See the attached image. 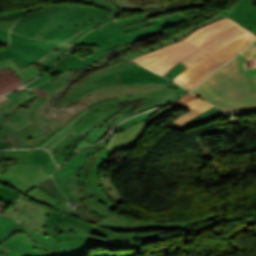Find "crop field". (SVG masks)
I'll list each match as a JSON object with an SVG mask.
<instances>
[{"label":"crop field","instance_id":"obj_9","mask_svg":"<svg viewBox=\"0 0 256 256\" xmlns=\"http://www.w3.org/2000/svg\"><path fill=\"white\" fill-rule=\"evenodd\" d=\"M10 46L0 50V60L12 58L19 68L35 63L59 42L30 39L10 32Z\"/></svg>","mask_w":256,"mask_h":256},{"label":"crop field","instance_id":"obj_42","mask_svg":"<svg viewBox=\"0 0 256 256\" xmlns=\"http://www.w3.org/2000/svg\"><path fill=\"white\" fill-rule=\"evenodd\" d=\"M98 22V21H96ZM94 23V22H93ZM82 26H85V25H82ZM77 27H81V26H77ZM75 27V28H77ZM74 29V28H72ZM71 30V29H70ZM69 31V30H67ZM66 31L62 32L58 27L57 28H54L50 31H48L45 35V39L44 40H54L56 39L58 36H60L61 34L65 33Z\"/></svg>","mask_w":256,"mask_h":256},{"label":"crop field","instance_id":"obj_48","mask_svg":"<svg viewBox=\"0 0 256 256\" xmlns=\"http://www.w3.org/2000/svg\"><path fill=\"white\" fill-rule=\"evenodd\" d=\"M56 170V166L54 165L53 161L48 164V166L45 168V172L47 175H50L52 172Z\"/></svg>","mask_w":256,"mask_h":256},{"label":"crop field","instance_id":"obj_35","mask_svg":"<svg viewBox=\"0 0 256 256\" xmlns=\"http://www.w3.org/2000/svg\"><path fill=\"white\" fill-rule=\"evenodd\" d=\"M160 109L161 108L153 110V111H150V112H147V113L140 114V115H138V116H136V117H134V118H132V119H130V120L120 124V125H118L116 128L123 129V128L128 127L131 124H135V123H138L140 121L146 120L149 117H151L152 115H154Z\"/></svg>","mask_w":256,"mask_h":256},{"label":"crop field","instance_id":"obj_2","mask_svg":"<svg viewBox=\"0 0 256 256\" xmlns=\"http://www.w3.org/2000/svg\"><path fill=\"white\" fill-rule=\"evenodd\" d=\"M101 170L91 169L89 180L91 188L97 197L85 199L79 182V175H53V178L66 197L77 202L76 210L68 208L66 197L59 191L50 176L25 194L26 197L43 203L51 210L44 233L57 234L61 231H79L95 234L111 240L136 241L132 233L120 234L114 231H132L151 228L187 229L190 223L186 222H145L130 219L111 212L119 207L102 190L100 185Z\"/></svg>","mask_w":256,"mask_h":256},{"label":"crop field","instance_id":"obj_12","mask_svg":"<svg viewBox=\"0 0 256 256\" xmlns=\"http://www.w3.org/2000/svg\"><path fill=\"white\" fill-rule=\"evenodd\" d=\"M121 10H143L144 14L149 17L162 14L173 10H184L198 7L205 3L189 4H169L167 0H113Z\"/></svg>","mask_w":256,"mask_h":256},{"label":"crop field","instance_id":"obj_20","mask_svg":"<svg viewBox=\"0 0 256 256\" xmlns=\"http://www.w3.org/2000/svg\"><path fill=\"white\" fill-rule=\"evenodd\" d=\"M56 238L58 239V241L67 240L71 238L86 239V240H90V245L106 247L111 250L140 249L138 244L125 243V242H110V241H105L99 238L81 235V234L72 233V232L56 235Z\"/></svg>","mask_w":256,"mask_h":256},{"label":"crop field","instance_id":"obj_26","mask_svg":"<svg viewBox=\"0 0 256 256\" xmlns=\"http://www.w3.org/2000/svg\"><path fill=\"white\" fill-rule=\"evenodd\" d=\"M24 86L11 69L0 71V95Z\"/></svg>","mask_w":256,"mask_h":256},{"label":"crop field","instance_id":"obj_10","mask_svg":"<svg viewBox=\"0 0 256 256\" xmlns=\"http://www.w3.org/2000/svg\"><path fill=\"white\" fill-rule=\"evenodd\" d=\"M143 95H137L133 97H125L117 99L118 104L125 103L135 99L143 98ZM118 104L108 106L99 110L98 112L90 111L84 117H82L79 121H77L70 129L76 131L71 134L65 141L55 147L53 150L62 152L69 145H71L75 140L80 137H86L87 134L93 129L95 126L101 127L106 121H108L114 114L122 111ZM76 142V141H75Z\"/></svg>","mask_w":256,"mask_h":256},{"label":"crop field","instance_id":"obj_54","mask_svg":"<svg viewBox=\"0 0 256 256\" xmlns=\"http://www.w3.org/2000/svg\"><path fill=\"white\" fill-rule=\"evenodd\" d=\"M23 198H26V197L23 196ZM26 199H28V198H26ZM28 200H30V199H28ZM30 201H32V202H34V203H36V204H38V205H41V206H43V207H45V208H47V209H50L49 207H47V206H45V205H43V204L37 203V202H35V201H33V200H30Z\"/></svg>","mask_w":256,"mask_h":256},{"label":"crop field","instance_id":"obj_41","mask_svg":"<svg viewBox=\"0 0 256 256\" xmlns=\"http://www.w3.org/2000/svg\"><path fill=\"white\" fill-rule=\"evenodd\" d=\"M16 228L22 229V230H24V232H27V235H29L36 244H38L39 239L41 237V235L38 232H36L35 230H33L25 225L19 224V223Z\"/></svg>","mask_w":256,"mask_h":256},{"label":"crop field","instance_id":"obj_6","mask_svg":"<svg viewBox=\"0 0 256 256\" xmlns=\"http://www.w3.org/2000/svg\"><path fill=\"white\" fill-rule=\"evenodd\" d=\"M53 4L41 9L33 10L25 15L13 27L12 31L23 34L24 29L41 14H45L51 21L47 23L42 29L39 30L37 35L33 38L42 39L45 33L56 26L62 31L77 25L87 24L96 20L104 23L115 19L119 10L113 7L107 0H79L87 3L100 5L110 11L104 12L94 7H87L81 5L60 4L56 5L54 2L63 0H50Z\"/></svg>","mask_w":256,"mask_h":256},{"label":"crop field","instance_id":"obj_25","mask_svg":"<svg viewBox=\"0 0 256 256\" xmlns=\"http://www.w3.org/2000/svg\"><path fill=\"white\" fill-rule=\"evenodd\" d=\"M71 46L59 43L52 51L42 57L36 65L40 67V69L45 72L49 69L55 62H57L69 49Z\"/></svg>","mask_w":256,"mask_h":256},{"label":"crop field","instance_id":"obj_28","mask_svg":"<svg viewBox=\"0 0 256 256\" xmlns=\"http://www.w3.org/2000/svg\"><path fill=\"white\" fill-rule=\"evenodd\" d=\"M0 183L12 187L22 194L29 189L15 178L9 168L4 169L3 166H0Z\"/></svg>","mask_w":256,"mask_h":256},{"label":"crop field","instance_id":"obj_44","mask_svg":"<svg viewBox=\"0 0 256 256\" xmlns=\"http://www.w3.org/2000/svg\"><path fill=\"white\" fill-rule=\"evenodd\" d=\"M196 96L190 94L185 97H183L181 100L177 101V103L173 104L172 106L177 108L179 106H182L183 104L189 102L190 100L194 99Z\"/></svg>","mask_w":256,"mask_h":256},{"label":"crop field","instance_id":"obj_8","mask_svg":"<svg viewBox=\"0 0 256 256\" xmlns=\"http://www.w3.org/2000/svg\"><path fill=\"white\" fill-rule=\"evenodd\" d=\"M26 111L10 99L0 104V144L10 143L13 148L37 147L31 139L36 132Z\"/></svg>","mask_w":256,"mask_h":256},{"label":"crop field","instance_id":"obj_36","mask_svg":"<svg viewBox=\"0 0 256 256\" xmlns=\"http://www.w3.org/2000/svg\"><path fill=\"white\" fill-rule=\"evenodd\" d=\"M99 23H100L99 25L103 24V23H101V22H99ZM95 24H97V23L90 24V25H87V26H85V27H82V28H78V29H74V30H72V31H69V32H67V33H65V34H63V35H61L60 37H58L55 41H61V42H63L69 35H72V34L78 32V31H80V30H82V29H84V28H86V27H88V26L95 25ZM99 25H97V26H99ZM97 26H95V27H93V28H91V29H89V30H86V31L80 33L79 35L75 36V37L69 42V44H73L78 38H80L82 35L86 34L87 32L93 30V29L96 28Z\"/></svg>","mask_w":256,"mask_h":256},{"label":"crop field","instance_id":"obj_46","mask_svg":"<svg viewBox=\"0 0 256 256\" xmlns=\"http://www.w3.org/2000/svg\"><path fill=\"white\" fill-rule=\"evenodd\" d=\"M115 103H117L116 99L97 104L95 106L90 107V109L97 111L103 107H106L108 105L115 104Z\"/></svg>","mask_w":256,"mask_h":256},{"label":"crop field","instance_id":"obj_49","mask_svg":"<svg viewBox=\"0 0 256 256\" xmlns=\"http://www.w3.org/2000/svg\"><path fill=\"white\" fill-rule=\"evenodd\" d=\"M169 87H171V88H177V89L183 90V91H182L181 93H179L176 97H174V98L170 101V103H171L174 99H176L178 96H180V95H182V94H184V93L187 92L185 89H183L182 87L178 86L177 84H175V83H173V82L170 84ZM168 104H169V103H168Z\"/></svg>","mask_w":256,"mask_h":256},{"label":"crop field","instance_id":"obj_37","mask_svg":"<svg viewBox=\"0 0 256 256\" xmlns=\"http://www.w3.org/2000/svg\"><path fill=\"white\" fill-rule=\"evenodd\" d=\"M37 7H40V6L31 7V8L24 9V10H17V11H12V12H7V13L0 14V20L17 21L26 12H28L29 10H31L33 8H37Z\"/></svg>","mask_w":256,"mask_h":256},{"label":"crop field","instance_id":"obj_18","mask_svg":"<svg viewBox=\"0 0 256 256\" xmlns=\"http://www.w3.org/2000/svg\"><path fill=\"white\" fill-rule=\"evenodd\" d=\"M46 165L39 164H11L8 165L17 179L28 187H33L46 176L44 168Z\"/></svg>","mask_w":256,"mask_h":256},{"label":"crop field","instance_id":"obj_57","mask_svg":"<svg viewBox=\"0 0 256 256\" xmlns=\"http://www.w3.org/2000/svg\"><path fill=\"white\" fill-rule=\"evenodd\" d=\"M5 253L8 254L7 256H17V255H15L14 253H12V252H10V251H8V250H7Z\"/></svg>","mask_w":256,"mask_h":256},{"label":"crop field","instance_id":"obj_45","mask_svg":"<svg viewBox=\"0 0 256 256\" xmlns=\"http://www.w3.org/2000/svg\"><path fill=\"white\" fill-rule=\"evenodd\" d=\"M151 124V122L146 125L139 133L138 135L125 147L123 148L122 150H128L130 149L131 147L134 146V144L137 142V140L140 138V136L143 134V132L145 131V129Z\"/></svg>","mask_w":256,"mask_h":256},{"label":"crop field","instance_id":"obj_47","mask_svg":"<svg viewBox=\"0 0 256 256\" xmlns=\"http://www.w3.org/2000/svg\"><path fill=\"white\" fill-rule=\"evenodd\" d=\"M15 22L10 21H0V29L9 30L11 26L14 25ZM12 28V27H11Z\"/></svg>","mask_w":256,"mask_h":256},{"label":"crop field","instance_id":"obj_30","mask_svg":"<svg viewBox=\"0 0 256 256\" xmlns=\"http://www.w3.org/2000/svg\"><path fill=\"white\" fill-rule=\"evenodd\" d=\"M52 159L46 150H36L31 154L18 159V163L48 164Z\"/></svg>","mask_w":256,"mask_h":256},{"label":"crop field","instance_id":"obj_51","mask_svg":"<svg viewBox=\"0 0 256 256\" xmlns=\"http://www.w3.org/2000/svg\"><path fill=\"white\" fill-rule=\"evenodd\" d=\"M82 139H84L83 137L80 138L79 140H77L76 142H74L71 146H69L63 153L67 152L69 149H71L75 144H77L79 141H81Z\"/></svg>","mask_w":256,"mask_h":256},{"label":"crop field","instance_id":"obj_38","mask_svg":"<svg viewBox=\"0 0 256 256\" xmlns=\"http://www.w3.org/2000/svg\"><path fill=\"white\" fill-rule=\"evenodd\" d=\"M34 150H5L2 151L3 155L5 158H18V157H23L29 153H31Z\"/></svg>","mask_w":256,"mask_h":256},{"label":"crop field","instance_id":"obj_11","mask_svg":"<svg viewBox=\"0 0 256 256\" xmlns=\"http://www.w3.org/2000/svg\"><path fill=\"white\" fill-rule=\"evenodd\" d=\"M48 210L20 198L4 215L34 227L43 233Z\"/></svg>","mask_w":256,"mask_h":256},{"label":"crop field","instance_id":"obj_16","mask_svg":"<svg viewBox=\"0 0 256 256\" xmlns=\"http://www.w3.org/2000/svg\"><path fill=\"white\" fill-rule=\"evenodd\" d=\"M225 17H226L225 15L220 14V15L216 16L215 18H213V19H211V20H209V21H207V22H205V23H203V24H201V25H199V26H193V27H191V28H189V29H187V30H185V31H183V32H181V33H179V34H177L173 39H170V40H168V41H166V42H164V43H161V44H159V45H156V46H153V47H151V48H148V49H146V50H144V51H142V50L136 48L133 43L130 44V45H127V46H124V47L115 49V51L121 52V51H123V50H124V51H127V50L129 49L130 52H129L128 54H125V55L121 56L119 59H121L122 61H123V60H128V59H134V58H136V57H138V56H140V55H143V54H146V53H148V52L154 51V50H156V49H159V48H161V47L167 46V45H169V44L178 42V41H180V40L186 38L190 33L194 32V31L197 30L199 27L205 26V25H207V24H209V23H211V22H214V21H216V20H219V19H222V18H225Z\"/></svg>","mask_w":256,"mask_h":256},{"label":"crop field","instance_id":"obj_15","mask_svg":"<svg viewBox=\"0 0 256 256\" xmlns=\"http://www.w3.org/2000/svg\"><path fill=\"white\" fill-rule=\"evenodd\" d=\"M253 3L254 0H239L227 16L256 35V7Z\"/></svg>","mask_w":256,"mask_h":256},{"label":"crop field","instance_id":"obj_59","mask_svg":"<svg viewBox=\"0 0 256 256\" xmlns=\"http://www.w3.org/2000/svg\"><path fill=\"white\" fill-rule=\"evenodd\" d=\"M5 34H8V32L0 31V35H5Z\"/></svg>","mask_w":256,"mask_h":256},{"label":"crop field","instance_id":"obj_4","mask_svg":"<svg viewBox=\"0 0 256 256\" xmlns=\"http://www.w3.org/2000/svg\"><path fill=\"white\" fill-rule=\"evenodd\" d=\"M191 92L233 116L256 112V42Z\"/></svg>","mask_w":256,"mask_h":256},{"label":"crop field","instance_id":"obj_33","mask_svg":"<svg viewBox=\"0 0 256 256\" xmlns=\"http://www.w3.org/2000/svg\"><path fill=\"white\" fill-rule=\"evenodd\" d=\"M48 21H50L49 19H47L45 17V15L43 14L42 16H40L39 18L35 19L25 30L24 34L25 36H29V37H33L36 35V33L38 32V30L43 27Z\"/></svg>","mask_w":256,"mask_h":256},{"label":"crop field","instance_id":"obj_40","mask_svg":"<svg viewBox=\"0 0 256 256\" xmlns=\"http://www.w3.org/2000/svg\"><path fill=\"white\" fill-rule=\"evenodd\" d=\"M188 67H186L183 63H179L176 66H174L171 70H169L165 77L169 79H174L176 76H178L183 71L187 70Z\"/></svg>","mask_w":256,"mask_h":256},{"label":"crop field","instance_id":"obj_17","mask_svg":"<svg viewBox=\"0 0 256 256\" xmlns=\"http://www.w3.org/2000/svg\"><path fill=\"white\" fill-rule=\"evenodd\" d=\"M174 110L172 106L164 107L160 111H158L154 116L150 119L140 122L138 124L132 125L126 128L122 133L116 135L109 146V148L114 150H121L124 146H126L136 135L137 133L150 121L155 122L162 118L168 112Z\"/></svg>","mask_w":256,"mask_h":256},{"label":"crop field","instance_id":"obj_56","mask_svg":"<svg viewBox=\"0 0 256 256\" xmlns=\"http://www.w3.org/2000/svg\"><path fill=\"white\" fill-rule=\"evenodd\" d=\"M7 99H8V98H7L5 95L1 96V97H0V103L3 102V101H5V100H7Z\"/></svg>","mask_w":256,"mask_h":256},{"label":"crop field","instance_id":"obj_43","mask_svg":"<svg viewBox=\"0 0 256 256\" xmlns=\"http://www.w3.org/2000/svg\"><path fill=\"white\" fill-rule=\"evenodd\" d=\"M140 243H146V242H152V241H158L165 238L159 237L158 234H152V235H144V236H137ZM168 238V237H166Z\"/></svg>","mask_w":256,"mask_h":256},{"label":"crop field","instance_id":"obj_39","mask_svg":"<svg viewBox=\"0 0 256 256\" xmlns=\"http://www.w3.org/2000/svg\"><path fill=\"white\" fill-rule=\"evenodd\" d=\"M116 151H112L109 149H105L103 150V152L101 153V155L98 157V159L96 160L93 168L96 169H100V167L103 165V163L109 158L111 157Z\"/></svg>","mask_w":256,"mask_h":256},{"label":"crop field","instance_id":"obj_14","mask_svg":"<svg viewBox=\"0 0 256 256\" xmlns=\"http://www.w3.org/2000/svg\"><path fill=\"white\" fill-rule=\"evenodd\" d=\"M109 54L105 50L98 49L92 55L88 56L82 61L77 55H72L67 60H65L55 71L52 73H64L69 70H74L83 67H92L109 64L106 55ZM110 59V58H109ZM113 63V62H112Z\"/></svg>","mask_w":256,"mask_h":256},{"label":"crop field","instance_id":"obj_19","mask_svg":"<svg viewBox=\"0 0 256 256\" xmlns=\"http://www.w3.org/2000/svg\"><path fill=\"white\" fill-rule=\"evenodd\" d=\"M123 84L130 83H149V82H171L155 73L137 65L121 74H119Z\"/></svg>","mask_w":256,"mask_h":256},{"label":"crop field","instance_id":"obj_29","mask_svg":"<svg viewBox=\"0 0 256 256\" xmlns=\"http://www.w3.org/2000/svg\"><path fill=\"white\" fill-rule=\"evenodd\" d=\"M103 170L100 176L101 179V184H102V188L105 191V193L116 203L119 204L121 203L124 199L122 198V196L120 195V193L116 190V188L113 185L112 182V177L114 175V173H111V175L107 178L102 177L103 175Z\"/></svg>","mask_w":256,"mask_h":256},{"label":"crop field","instance_id":"obj_7","mask_svg":"<svg viewBox=\"0 0 256 256\" xmlns=\"http://www.w3.org/2000/svg\"><path fill=\"white\" fill-rule=\"evenodd\" d=\"M2 245L19 256H84L89 254V241L72 239L58 242L55 236H42L37 246L30 237L18 233Z\"/></svg>","mask_w":256,"mask_h":256},{"label":"crop field","instance_id":"obj_34","mask_svg":"<svg viewBox=\"0 0 256 256\" xmlns=\"http://www.w3.org/2000/svg\"><path fill=\"white\" fill-rule=\"evenodd\" d=\"M70 55H72V50L62 59L60 60L55 66H53L49 72L48 75H45V76H42V77H39L37 78L36 80L32 81L31 83H29L28 85L25 86V88H31V87H34L36 85H39L41 83H44L46 81H49L51 79H53L50 75V73L56 69L65 59H67Z\"/></svg>","mask_w":256,"mask_h":256},{"label":"crop field","instance_id":"obj_22","mask_svg":"<svg viewBox=\"0 0 256 256\" xmlns=\"http://www.w3.org/2000/svg\"><path fill=\"white\" fill-rule=\"evenodd\" d=\"M225 115H227V114H225L223 111H221L220 109L213 106V107L209 108L208 110L204 111L203 113L197 115L196 117L190 119L186 123L182 124L177 129L186 131L196 125L208 122L210 120H213L215 118L222 117Z\"/></svg>","mask_w":256,"mask_h":256},{"label":"crop field","instance_id":"obj_13","mask_svg":"<svg viewBox=\"0 0 256 256\" xmlns=\"http://www.w3.org/2000/svg\"><path fill=\"white\" fill-rule=\"evenodd\" d=\"M115 131V129H114ZM114 131L111 135L105 139L103 142L84 149L74 157H72L68 162L61 166L54 174H80V182L82 190L89 189L88 179H84L85 171L87 165L92 157V155L97 152L100 148L108 145Z\"/></svg>","mask_w":256,"mask_h":256},{"label":"crop field","instance_id":"obj_32","mask_svg":"<svg viewBox=\"0 0 256 256\" xmlns=\"http://www.w3.org/2000/svg\"><path fill=\"white\" fill-rule=\"evenodd\" d=\"M21 195H22L21 193L13 190L7 186L0 184V200L1 201L10 205Z\"/></svg>","mask_w":256,"mask_h":256},{"label":"crop field","instance_id":"obj_31","mask_svg":"<svg viewBox=\"0 0 256 256\" xmlns=\"http://www.w3.org/2000/svg\"><path fill=\"white\" fill-rule=\"evenodd\" d=\"M16 221L0 216V243L13 231Z\"/></svg>","mask_w":256,"mask_h":256},{"label":"crop field","instance_id":"obj_27","mask_svg":"<svg viewBox=\"0 0 256 256\" xmlns=\"http://www.w3.org/2000/svg\"><path fill=\"white\" fill-rule=\"evenodd\" d=\"M90 109H86L83 113H81L78 117L69 122L66 126H64L61 130H59L55 135H53L50 139H48L45 143H43L40 147H44L52 150L57 144L61 143L65 140L71 133L74 131L68 129L72 126L77 120H79L83 115H85Z\"/></svg>","mask_w":256,"mask_h":256},{"label":"crop field","instance_id":"obj_21","mask_svg":"<svg viewBox=\"0 0 256 256\" xmlns=\"http://www.w3.org/2000/svg\"><path fill=\"white\" fill-rule=\"evenodd\" d=\"M18 67L12 59L0 61V70L11 68L23 81L24 85L43 73L35 64L23 69H19Z\"/></svg>","mask_w":256,"mask_h":256},{"label":"crop field","instance_id":"obj_55","mask_svg":"<svg viewBox=\"0 0 256 256\" xmlns=\"http://www.w3.org/2000/svg\"><path fill=\"white\" fill-rule=\"evenodd\" d=\"M0 148H12L10 144L0 145Z\"/></svg>","mask_w":256,"mask_h":256},{"label":"crop field","instance_id":"obj_3","mask_svg":"<svg viewBox=\"0 0 256 256\" xmlns=\"http://www.w3.org/2000/svg\"><path fill=\"white\" fill-rule=\"evenodd\" d=\"M255 39L253 33L227 17L199 28L183 41L134 60L162 76L183 62L189 69L173 81L191 90Z\"/></svg>","mask_w":256,"mask_h":256},{"label":"crop field","instance_id":"obj_53","mask_svg":"<svg viewBox=\"0 0 256 256\" xmlns=\"http://www.w3.org/2000/svg\"><path fill=\"white\" fill-rule=\"evenodd\" d=\"M7 207H8V205H6V204L0 202V211L4 210V209L7 208Z\"/></svg>","mask_w":256,"mask_h":256},{"label":"crop field","instance_id":"obj_52","mask_svg":"<svg viewBox=\"0 0 256 256\" xmlns=\"http://www.w3.org/2000/svg\"><path fill=\"white\" fill-rule=\"evenodd\" d=\"M91 27H93V26H91ZM91 27H89V28H91ZM89 28H87V29H89ZM84 30H86V29H84ZM84 30H82V31H84ZM82 31H80V32H82ZM80 32H78V33H80ZM78 33H76V34H74V35H72V36H70V37H68L64 42H69L75 35H77Z\"/></svg>","mask_w":256,"mask_h":256},{"label":"crop field","instance_id":"obj_23","mask_svg":"<svg viewBox=\"0 0 256 256\" xmlns=\"http://www.w3.org/2000/svg\"><path fill=\"white\" fill-rule=\"evenodd\" d=\"M135 106L130 105L126 108H124L123 112H120L118 114H116L115 116H113L107 123H105L101 129L99 128H94L89 134L88 136L85 138L87 139L89 142H91L92 144H94L95 142L99 141L101 139V137L111 128L112 125L124 120L123 118V114L129 112L130 110H132Z\"/></svg>","mask_w":256,"mask_h":256},{"label":"crop field","instance_id":"obj_1","mask_svg":"<svg viewBox=\"0 0 256 256\" xmlns=\"http://www.w3.org/2000/svg\"><path fill=\"white\" fill-rule=\"evenodd\" d=\"M134 65L136 63L132 61L115 64L89 74L81 81L72 75L78 70L70 71L49 83L6 96L21 105L41 94L31 103L27 112L37 132L32 138L39 146L81 110L96 102L144 94L143 108L124 115L126 119L141 111L166 104L181 91L168 88L170 83L123 85L117 74Z\"/></svg>","mask_w":256,"mask_h":256},{"label":"crop field","instance_id":"obj_24","mask_svg":"<svg viewBox=\"0 0 256 256\" xmlns=\"http://www.w3.org/2000/svg\"><path fill=\"white\" fill-rule=\"evenodd\" d=\"M186 106H188L192 110H190L187 113H185L184 115L178 117L176 121H174L171 125H169V127L176 129L182 123H184L185 121L189 120L190 118L196 116L197 114L203 112L204 110L208 109L212 105L208 104L207 102H205L202 99L197 97L194 100H192L191 102L187 103Z\"/></svg>","mask_w":256,"mask_h":256},{"label":"crop field","instance_id":"obj_58","mask_svg":"<svg viewBox=\"0 0 256 256\" xmlns=\"http://www.w3.org/2000/svg\"><path fill=\"white\" fill-rule=\"evenodd\" d=\"M4 251H5V249L3 250V248L0 247V256H6L5 254H3Z\"/></svg>","mask_w":256,"mask_h":256},{"label":"crop field","instance_id":"obj_50","mask_svg":"<svg viewBox=\"0 0 256 256\" xmlns=\"http://www.w3.org/2000/svg\"><path fill=\"white\" fill-rule=\"evenodd\" d=\"M9 40V36L5 35V36H0V42L1 43H8Z\"/></svg>","mask_w":256,"mask_h":256},{"label":"crop field","instance_id":"obj_5","mask_svg":"<svg viewBox=\"0 0 256 256\" xmlns=\"http://www.w3.org/2000/svg\"><path fill=\"white\" fill-rule=\"evenodd\" d=\"M186 19L180 13L150 21L145 15L133 16L105 24L86 34L75 45L93 44L109 51L163 33V29Z\"/></svg>","mask_w":256,"mask_h":256}]
</instances>
